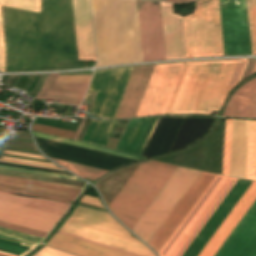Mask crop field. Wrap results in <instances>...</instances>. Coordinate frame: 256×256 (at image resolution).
I'll return each instance as SVG.
<instances>
[{"mask_svg": "<svg viewBox=\"0 0 256 256\" xmlns=\"http://www.w3.org/2000/svg\"><path fill=\"white\" fill-rule=\"evenodd\" d=\"M251 183L250 180H238L182 256H197L199 254Z\"/></svg>", "mask_w": 256, "mask_h": 256, "instance_id": "obj_17", "label": "crop field"}, {"mask_svg": "<svg viewBox=\"0 0 256 256\" xmlns=\"http://www.w3.org/2000/svg\"><path fill=\"white\" fill-rule=\"evenodd\" d=\"M255 200L256 181H253L198 256H214Z\"/></svg>", "mask_w": 256, "mask_h": 256, "instance_id": "obj_19", "label": "crop field"}, {"mask_svg": "<svg viewBox=\"0 0 256 256\" xmlns=\"http://www.w3.org/2000/svg\"><path fill=\"white\" fill-rule=\"evenodd\" d=\"M0 227L44 238L47 232L0 221Z\"/></svg>", "mask_w": 256, "mask_h": 256, "instance_id": "obj_41", "label": "crop field"}, {"mask_svg": "<svg viewBox=\"0 0 256 256\" xmlns=\"http://www.w3.org/2000/svg\"><path fill=\"white\" fill-rule=\"evenodd\" d=\"M0 142L5 143L6 140L0 139ZM3 148H4V146L0 145V155L2 153Z\"/></svg>", "mask_w": 256, "mask_h": 256, "instance_id": "obj_58", "label": "crop field"}, {"mask_svg": "<svg viewBox=\"0 0 256 256\" xmlns=\"http://www.w3.org/2000/svg\"><path fill=\"white\" fill-rule=\"evenodd\" d=\"M247 10H248V20H249V30H250V40H251V50L252 55L254 54L253 50V40H252V30H251V20H250V10H249V0H247Z\"/></svg>", "mask_w": 256, "mask_h": 256, "instance_id": "obj_50", "label": "crop field"}, {"mask_svg": "<svg viewBox=\"0 0 256 256\" xmlns=\"http://www.w3.org/2000/svg\"><path fill=\"white\" fill-rule=\"evenodd\" d=\"M160 7L166 60L187 58L182 17L173 14L172 4Z\"/></svg>", "mask_w": 256, "mask_h": 256, "instance_id": "obj_21", "label": "crop field"}, {"mask_svg": "<svg viewBox=\"0 0 256 256\" xmlns=\"http://www.w3.org/2000/svg\"><path fill=\"white\" fill-rule=\"evenodd\" d=\"M225 121H221L218 133L212 132L199 144L175 154V164L222 174ZM174 164V155L160 158Z\"/></svg>", "mask_w": 256, "mask_h": 256, "instance_id": "obj_11", "label": "crop field"}, {"mask_svg": "<svg viewBox=\"0 0 256 256\" xmlns=\"http://www.w3.org/2000/svg\"><path fill=\"white\" fill-rule=\"evenodd\" d=\"M59 70L84 67V60L58 63Z\"/></svg>", "mask_w": 256, "mask_h": 256, "instance_id": "obj_47", "label": "crop field"}, {"mask_svg": "<svg viewBox=\"0 0 256 256\" xmlns=\"http://www.w3.org/2000/svg\"><path fill=\"white\" fill-rule=\"evenodd\" d=\"M96 67L142 62L136 0H92Z\"/></svg>", "mask_w": 256, "mask_h": 256, "instance_id": "obj_3", "label": "crop field"}, {"mask_svg": "<svg viewBox=\"0 0 256 256\" xmlns=\"http://www.w3.org/2000/svg\"><path fill=\"white\" fill-rule=\"evenodd\" d=\"M132 68L115 70L98 116L104 118L114 117Z\"/></svg>", "mask_w": 256, "mask_h": 256, "instance_id": "obj_27", "label": "crop field"}, {"mask_svg": "<svg viewBox=\"0 0 256 256\" xmlns=\"http://www.w3.org/2000/svg\"><path fill=\"white\" fill-rule=\"evenodd\" d=\"M169 2H175V3H181V2H187V1H193V0H166Z\"/></svg>", "mask_w": 256, "mask_h": 256, "instance_id": "obj_57", "label": "crop field"}, {"mask_svg": "<svg viewBox=\"0 0 256 256\" xmlns=\"http://www.w3.org/2000/svg\"><path fill=\"white\" fill-rule=\"evenodd\" d=\"M0 161L9 162V163H16V164H23V165H30V166H36V167H43V168H50V169H56V170H61V169H57V168L44 167V166H38V165H31V164H25V163H18V162L6 161V160H0Z\"/></svg>", "mask_w": 256, "mask_h": 256, "instance_id": "obj_55", "label": "crop field"}, {"mask_svg": "<svg viewBox=\"0 0 256 256\" xmlns=\"http://www.w3.org/2000/svg\"><path fill=\"white\" fill-rule=\"evenodd\" d=\"M91 75L60 76L58 81L89 83Z\"/></svg>", "mask_w": 256, "mask_h": 256, "instance_id": "obj_42", "label": "crop field"}, {"mask_svg": "<svg viewBox=\"0 0 256 256\" xmlns=\"http://www.w3.org/2000/svg\"><path fill=\"white\" fill-rule=\"evenodd\" d=\"M80 202L81 203H86V204H91V205H96V206H101L102 207L99 199L93 198V197H89V196H85V195L82 197Z\"/></svg>", "mask_w": 256, "mask_h": 256, "instance_id": "obj_49", "label": "crop field"}, {"mask_svg": "<svg viewBox=\"0 0 256 256\" xmlns=\"http://www.w3.org/2000/svg\"><path fill=\"white\" fill-rule=\"evenodd\" d=\"M61 215L0 200V220L49 232Z\"/></svg>", "mask_w": 256, "mask_h": 256, "instance_id": "obj_18", "label": "crop field"}, {"mask_svg": "<svg viewBox=\"0 0 256 256\" xmlns=\"http://www.w3.org/2000/svg\"><path fill=\"white\" fill-rule=\"evenodd\" d=\"M34 123L57 127V128L68 129V130H74V131L77 130V128L80 124V123H70V122L66 123V122H61L58 120H49V119L40 118V117H37Z\"/></svg>", "mask_w": 256, "mask_h": 256, "instance_id": "obj_40", "label": "crop field"}, {"mask_svg": "<svg viewBox=\"0 0 256 256\" xmlns=\"http://www.w3.org/2000/svg\"><path fill=\"white\" fill-rule=\"evenodd\" d=\"M222 116L256 117V79L234 94Z\"/></svg>", "mask_w": 256, "mask_h": 256, "instance_id": "obj_25", "label": "crop field"}, {"mask_svg": "<svg viewBox=\"0 0 256 256\" xmlns=\"http://www.w3.org/2000/svg\"><path fill=\"white\" fill-rule=\"evenodd\" d=\"M176 168L155 161L139 165L109 209L131 230Z\"/></svg>", "mask_w": 256, "mask_h": 256, "instance_id": "obj_4", "label": "crop field"}, {"mask_svg": "<svg viewBox=\"0 0 256 256\" xmlns=\"http://www.w3.org/2000/svg\"><path fill=\"white\" fill-rule=\"evenodd\" d=\"M215 256H256V202Z\"/></svg>", "mask_w": 256, "mask_h": 256, "instance_id": "obj_16", "label": "crop field"}, {"mask_svg": "<svg viewBox=\"0 0 256 256\" xmlns=\"http://www.w3.org/2000/svg\"><path fill=\"white\" fill-rule=\"evenodd\" d=\"M58 70L57 62L78 60L71 0H0V70Z\"/></svg>", "mask_w": 256, "mask_h": 256, "instance_id": "obj_1", "label": "crop field"}, {"mask_svg": "<svg viewBox=\"0 0 256 256\" xmlns=\"http://www.w3.org/2000/svg\"><path fill=\"white\" fill-rule=\"evenodd\" d=\"M245 178L256 180V120H249Z\"/></svg>", "mask_w": 256, "mask_h": 256, "instance_id": "obj_30", "label": "crop field"}, {"mask_svg": "<svg viewBox=\"0 0 256 256\" xmlns=\"http://www.w3.org/2000/svg\"><path fill=\"white\" fill-rule=\"evenodd\" d=\"M237 180L217 175L158 255L181 256Z\"/></svg>", "mask_w": 256, "mask_h": 256, "instance_id": "obj_7", "label": "crop field"}, {"mask_svg": "<svg viewBox=\"0 0 256 256\" xmlns=\"http://www.w3.org/2000/svg\"><path fill=\"white\" fill-rule=\"evenodd\" d=\"M0 185L13 187L21 190H26L34 193L44 194L68 201H73V199L78 195L76 193H70V192H63V191H56V190H50V189H43V188H36V187H30V186H23V185H16V184H10V183H3L0 182Z\"/></svg>", "mask_w": 256, "mask_h": 256, "instance_id": "obj_34", "label": "crop field"}, {"mask_svg": "<svg viewBox=\"0 0 256 256\" xmlns=\"http://www.w3.org/2000/svg\"><path fill=\"white\" fill-rule=\"evenodd\" d=\"M34 256H74L48 247H44Z\"/></svg>", "mask_w": 256, "mask_h": 256, "instance_id": "obj_45", "label": "crop field"}, {"mask_svg": "<svg viewBox=\"0 0 256 256\" xmlns=\"http://www.w3.org/2000/svg\"><path fill=\"white\" fill-rule=\"evenodd\" d=\"M32 131L49 134V135H54V136H59V137H63V138L71 139V140L73 139V137L76 133L73 131L62 130V129L52 128V127L35 125V124L32 125Z\"/></svg>", "mask_w": 256, "mask_h": 256, "instance_id": "obj_37", "label": "crop field"}, {"mask_svg": "<svg viewBox=\"0 0 256 256\" xmlns=\"http://www.w3.org/2000/svg\"><path fill=\"white\" fill-rule=\"evenodd\" d=\"M158 118H152L135 154L141 155ZM215 118L161 117L142 157L150 158L185 148L199 140L212 126Z\"/></svg>", "mask_w": 256, "mask_h": 256, "instance_id": "obj_6", "label": "crop field"}, {"mask_svg": "<svg viewBox=\"0 0 256 256\" xmlns=\"http://www.w3.org/2000/svg\"><path fill=\"white\" fill-rule=\"evenodd\" d=\"M41 75L40 76H37V78L35 79V81L33 82L32 86L30 87V89L28 90V95L30 94V92L33 90V88L35 87L36 83L38 82V80L40 79ZM30 78V76H24L21 80V82L19 83L18 87L19 88H22L25 86L26 82L28 81V79ZM14 79V77L12 78H8L4 84H7V85H10V83L12 82V80ZM17 79V77H15V79L13 80V82L11 83V86L12 84L14 83V81Z\"/></svg>", "mask_w": 256, "mask_h": 256, "instance_id": "obj_44", "label": "crop field"}, {"mask_svg": "<svg viewBox=\"0 0 256 256\" xmlns=\"http://www.w3.org/2000/svg\"><path fill=\"white\" fill-rule=\"evenodd\" d=\"M15 137L32 140L31 138L23 137L22 134H18V133H16ZM5 149L41 155L37 151L34 143H30V142H23V141H17V140L9 141L8 140ZM2 156L20 158V159H27V160H35V161H42V162H49L48 159H46L45 157L44 158L46 160L28 158V157H20V156H13V155H6V154H3ZM49 163H51V162H49Z\"/></svg>", "mask_w": 256, "mask_h": 256, "instance_id": "obj_32", "label": "crop field"}, {"mask_svg": "<svg viewBox=\"0 0 256 256\" xmlns=\"http://www.w3.org/2000/svg\"><path fill=\"white\" fill-rule=\"evenodd\" d=\"M250 9H251L254 49L256 54V0H250Z\"/></svg>", "mask_w": 256, "mask_h": 256, "instance_id": "obj_43", "label": "crop field"}, {"mask_svg": "<svg viewBox=\"0 0 256 256\" xmlns=\"http://www.w3.org/2000/svg\"><path fill=\"white\" fill-rule=\"evenodd\" d=\"M248 120H233L229 176L244 178Z\"/></svg>", "mask_w": 256, "mask_h": 256, "instance_id": "obj_24", "label": "crop field"}, {"mask_svg": "<svg viewBox=\"0 0 256 256\" xmlns=\"http://www.w3.org/2000/svg\"><path fill=\"white\" fill-rule=\"evenodd\" d=\"M199 173L178 167L131 231L147 243Z\"/></svg>", "mask_w": 256, "mask_h": 256, "instance_id": "obj_9", "label": "crop field"}, {"mask_svg": "<svg viewBox=\"0 0 256 256\" xmlns=\"http://www.w3.org/2000/svg\"><path fill=\"white\" fill-rule=\"evenodd\" d=\"M48 157L110 171L134 160L34 137Z\"/></svg>", "mask_w": 256, "mask_h": 256, "instance_id": "obj_13", "label": "crop field"}, {"mask_svg": "<svg viewBox=\"0 0 256 256\" xmlns=\"http://www.w3.org/2000/svg\"><path fill=\"white\" fill-rule=\"evenodd\" d=\"M0 238L11 240V241H15V242H19V241L8 239V238H4V237H1V236H0ZM3 239H0V251H4V252L20 255V254H23L26 250H28L29 247H31V245L23 244L21 242H19V243H21V245H25V246H29V247L21 246V245H19V243H15V242L3 240ZM34 247H35V245H33L23 255L27 254ZM23 255H20V256H23Z\"/></svg>", "mask_w": 256, "mask_h": 256, "instance_id": "obj_36", "label": "crop field"}, {"mask_svg": "<svg viewBox=\"0 0 256 256\" xmlns=\"http://www.w3.org/2000/svg\"><path fill=\"white\" fill-rule=\"evenodd\" d=\"M0 199L11 201L14 203L38 208L41 210L57 213L63 215L68 208V205L44 200V199H31L23 196H16L0 192Z\"/></svg>", "mask_w": 256, "mask_h": 256, "instance_id": "obj_29", "label": "crop field"}, {"mask_svg": "<svg viewBox=\"0 0 256 256\" xmlns=\"http://www.w3.org/2000/svg\"><path fill=\"white\" fill-rule=\"evenodd\" d=\"M89 122H90V120L88 119L87 122H86V124H85V126H84L85 129L87 128ZM85 131H86V130H84V129L82 130V132H81V134H80V136H79V138H78L77 141H79V142L81 141V139H82V137H83Z\"/></svg>", "mask_w": 256, "mask_h": 256, "instance_id": "obj_56", "label": "crop field"}, {"mask_svg": "<svg viewBox=\"0 0 256 256\" xmlns=\"http://www.w3.org/2000/svg\"><path fill=\"white\" fill-rule=\"evenodd\" d=\"M0 181L40 186V187L53 188V189H60V190H66V191H73V192H78V193H80L82 190V188H80V187L54 184V183H48V182H41V181H34V180L21 179V178H15V177H8V176H2V175H0Z\"/></svg>", "mask_w": 256, "mask_h": 256, "instance_id": "obj_33", "label": "crop field"}, {"mask_svg": "<svg viewBox=\"0 0 256 256\" xmlns=\"http://www.w3.org/2000/svg\"><path fill=\"white\" fill-rule=\"evenodd\" d=\"M248 61L185 63L166 114L220 112L229 92L240 82Z\"/></svg>", "mask_w": 256, "mask_h": 256, "instance_id": "obj_2", "label": "crop field"}, {"mask_svg": "<svg viewBox=\"0 0 256 256\" xmlns=\"http://www.w3.org/2000/svg\"><path fill=\"white\" fill-rule=\"evenodd\" d=\"M0 191L11 193V194H23V195H31V196H40V195H34V194H30V193H25V192H21V191H16V190L4 188V187H1V186H0ZM40 197L71 204L70 202H67V201H63V200H59V199H54V198H50V197H46V196H40Z\"/></svg>", "mask_w": 256, "mask_h": 256, "instance_id": "obj_48", "label": "crop field"}, {"mask_svg": "<svg viewBox=\"0 0 256 256\" xmlns=\"http://www.w3.org/2000/svg\"><path fill=\"white\" fill-rule=\"evenodd\" d=\"M73 7L79 60L96 61L90 0H73Z\"/></svg>", "mask_w": 256, "mask_h": 256, "instance_id": "obj_22", "label": "crop field"}, {"mask_svg": "<svg viewBox=\"0 0 256 256\" xmlns=\"http://www.w3.org/2000/svg\"><path fill=\"white\" fill-rule=\"evenodd\" d=\"M183 64L155 66L136 117L166 113Z\"/></svg>", "mask_w": 256, "mask_h": 256, "instance_id": "obj_12", "label": "crop field"}, {"mask_svg": "<svg viewBox=\"0 0 256 256\" xmlns=\"http://www.w3.org/2000/svg\"><path fill=\"white\" fill-rule=\"evenodd\" d=\"M254 72H256V64H255V66H254V69H253L252 74H253Z\"/></svg>", "mask_w": 256, "mask_h": 256, "instance_id": "obj_60", "label": "crop field"}, {"mask_svg": "<svg viewBox=\"0 0 256 256\" xmlns=\"http://www.w3.org/2000/svg\"><path fill=\"white\" fill-rule=\"evenodd\" d=\"M47 245L81 256H127L58 233Z\"/></svg>", "mask_w": 256, "mask_h": 256, "instance_id": "obj_26", "label": "crop field"}, {"mask_svg": "<svg viewBox=\"0 0 256 256\" xmlns=\"http://www.w3.org/2000/svg\"><path fill=\"white\" fill-rule=\"evenodd\" d=\"M3 158H5V157H3ZM5 159H11V160H17V161H23V162H29V163H35V164H41V165H47V166H53V167H55L53 164H49V163L34 162V161H27V160H20V159H12V158H5Z\"/></svg>", "mask_w": 256, "mask_h": 256, "instance_id": "obj_53", "label": "crop field"}, {"mask_svg": "<svg viewBox=\"0 0 256 256\" xmlns=\"http://www.w3.org/2000/svg\"><path fill=\"white\" fill-rule=\"evenodd\" d=\"M117 121H98L88 144L105 147Z\"/></svg>", "mask_w": 256, "mask_h": 256, "instance_id": "obj_31", "label": "crop field"}, {"mask_svg": "<svg viewBox=\"0 0 256 256\" xmlns=\"http://www.w3.org/2000/svg\"><path fill=\"white\" fill-rule=\"evenodd\" d=\"M4 153L13 154V155H20V156L35 157V158H42L41 156H37V155H31V154H25V153H19V152L7 151V150H5ZM42 159H44V158H42Z\"/></svg>", "mask_w": 256, "mask_h": 256, "instance_id": "obj_52", "label": "crop field"}, {"mask_svg": "<svg viewBox=\"0 0 256 256\" xmlns=\"http://www.w3.org/2000/svg\"><path fill=\"white\" fill-rule=\"evenodd\" d=\"M53 160L56 161L58 164H60L62 167L73 172L74 174H76L80 177H83V178L91 179V180H94V179L102 176L103 174L107 173V171H103V170H99V169H94V168L81 166V165H77V164H72V163L59 161V160H55V159H53Z\"/></svg>", "mask_w": 256, "mask_h": 256, "instance_id": "obj_35", "label": "crop field"}, {"mask_svg": "<svg viewBox=\"0 0 256 256\" xmlns=\"http://www.w3.org/2000/svg\"><path fill=\"white\" fill-rule=\"evenodd\" d=\"M183 21L188 58L224 55L218 0H198Z\"/></svg>", "mask_w": 256, "mask_h": 256, "instance_id": "obj_8", "label": "crop field"}, {"mask_svg": "<svg viewBox=\"0 0 256 256\" xmlns=\"http://www.w3.org/2000/svg\"><path fill=\"white\" fill-rule=\"evenodd\" d=\"M150 120H130L115 150L134 154Z\"/></svg>", "mask_w": 256, "mask_h": 256, "instance_id": "obj_28", "label": "crop field"}, {"mask_svg": "<svg viewBox=\"0 0 256 256\" xmlns=\"http://www.w3.org/2000/svg\"><path fill=\"white\" fill-rule=\"evenodd\" d=\"M0 256H13V255H9V254H5V253L0 252Z\"/></svg>", "mask_w": 256, "mask_h": 256, "instance_id": "obj_59", "label": "crop field"}, {"mask_svg": "<svg viewBox=\"0 0 256 256\" xmlns=\"http://www.w3.org/2000/svg\"><path fill=\"white\" fill-rule=\"evenodd\" d=\"M0 165L11 166V167H18V168H24V169H31V170H38V171H45V172H52V173L65 174V175H71V174H69V173H67V172H63V171H56V170H50V169H43V168L30 167V166L9 164V163H3V162H0ZM72 176H73V175H72Z\"/></svg>", "mask_w": 256, "mask_h": 256, "instance_id": "obj_46", "label": "crop field"}, {"mask_svg": "<svg viewBox=\"0 0 256 256\" xmlns=\"http://www.w3.org/2000/svg\"><path fill=\"white\" fill-rule=\"evenodd\" d=\"M143 61L165 60L159 5L137 1Z\"/></svg>", "mask_w": 256, "mask_h": 256, "instance_id": "obj_15", "label": "crop field"}, {"mask_svg": "<svg viewBox=\"0 0 256 256\" xmlns=\"http://www.w3.org/2000/svg\"><path fill=\"white\" fill-rule=\"evenodd\" d=\"M58 75H48L36 98L59 100L58 103L61 104L79 105L89 84L56 82ZM42 101L45 102V100Z\"/></svg>", "mask_w": 256, "mask_h": 256, "instance_id": "obj_23", "label": "crop field"}, {"mask_svg": "<svg viewBox=\"0 0 256 256\" xmlns=\"http://www.w3.org/2000/svg\"><path fill=\"white\" fill-rule=\"evenodd\" d=\"M60 231L133 252L142 256H156L142 243L132 238L127 230L120 226L109 214L104 212L78 206ZM60 231H58V233L120 253L130 256H139Z\"/></svg>", "mask_w": 256, "mask_h": 256, "instance_id": "obj_5", "label": "crop field"}, {"mask_svg": "<svg viewBox=\"0 0 256 256\" xmlns=\"http://www.w3.org/2000/svg\"><path fill=\"white\" fill-rule=\"evenodd\" d=\"M232 120L226 119L223 174L228 176Z\"/></svg>", "mask_w": 256, "mask_h": 256, "instance_id": "obj_38", "label": "crop field"}, {"mask_svg": "<svg viewBox=\"0 0 256 256\" xmlns=\"http://www.w3.org/2000/svg\"><path fill=\"white\" fill-rule=\"evenodd\" d=\"M154 66L133 68L114 118L136 116Z\"/></svg>", "mask_w": 256, "mask_h": 256, "instance_id": "obj_20", "label": "crop field"}, {"mask_svg": "<svg viewBox=\"0 0 256 256\" xmlns=\"http://www.w3.org/2000/svg\"><path fill=\"white\" fill-rule=\"evenodd\" d=\"M255 61H256V60H250V61H249L248 66H247V68H246V71H245V73H244V75H243V78H245V77H247V76L250 75V73H251V71H252V68H253V66H254ZM243 78H242V79H243Z\"/></svg>", "mask_w": 256, "mask_h": 256, "instance_id": "obj_51", "label": "crop field"}, {"mask_svg": "<svg viewBox=\"0 0 256 256\" xmlns=\"http://www.w3.org/2000/svg\"><path fill=\"white\" fill-rule=\"evenodd\" d=\"M86 120H87V119H82L81 124H80V126H79V128H78V130H77V133H76V135H75V137H74L73 140H75V141L77 140V138H78V136H79V134H80V132H81V130H82V128H83L85 122H86Z\"/></svg>", "mask_w": 256, "mask_h": 256, "instance_id": "obj_54", "label": "crop field"}, {"mask_svg": "<svg viewBox=\"0 0 256 256\" xmlns=\"http://www.w3.org/2000/svg\"><path fill=\"white\" fill-rule=\"evenodd\" d=\"M225 55H251L246 0H219Z\"/></svg>", "mask_w": 256, "mask_h": 256, "instance_id": "obj_10", "label": "crop field"}, {"mask_svg": "<svg viewBox=\"0 0 256 256\" xmlns=\"http://www.w3.org/2000/svg\"><path fill=\"white\" fill-rule=\"evenodd\" d=\"M199 175V174H198ZM215 174H209L201 172L153 238L150 240V245L158 254L212 180L215 178Z\"/></svg>", "mask_w": 256, "mask_h": 256, "instance_id": "obj_14", "label": "crop field"}, {"mask_svg": "<svg viewBox=\"0 0 256 256\" xmlns=\"http://www.w3.org/2000/svg\"><path fill=\"white\" fill-rule=\"evenodd\" d=\"M0 235L5 236V237H9V238H13V239H16V240L32 243V244H35V245H37L42 240V238H38V237L18 233V232L3 229V228H0Z\"/></svg>", "mask_w": 256, "mask_h": 256, "instance_id": "obj_39", "label": "crop field"}]
</instances>
